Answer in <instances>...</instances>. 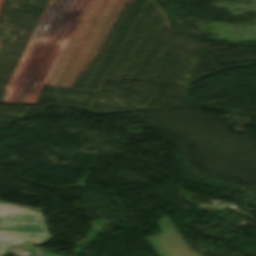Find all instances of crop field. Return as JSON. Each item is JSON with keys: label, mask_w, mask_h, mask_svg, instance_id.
<instances>
[{"label": "crop field", "mask_w": 256, "mask_h": 256, "mask_svg": "<svg viewBox=\"0 0 256 256\" xmlns=\"http://www.w3.org/2000/svg\"><path fill=\"white\" fill-rule=\"evenodd\" d=\"M148 240L150 241L159 256H176V254L169 246L165 238L162 236V234L148 237Z\"/></svg>", "instance_id": "3"}, {"label": "crop field", "mask_w": 256, "mask_h": 256, "mask_svg": "<svg viewBox=\"0 0 256 256\" xmlns=\"http://www.w3.org/2000/svg\"><path fill=\"white\" fill-rule=\"evenodd\" d=\"M51 238L42 213L23 207L0 204V256L6 255V247L33 241L43 244Z\"/></svg>", "instance_id": "1"}, {"label": "crop field", "mask_w": 256, "mask_h": 256, "mask_svg": "<svg viewBox=\"0 0 256 256\" xmlns=\"http://www.w3.org/2000/svg\"><path fill=\"white\" fill-rule=\"evenodd\" d=\"M177 256H201L200 253H193L178 231L166 217V215L156 224Z\"/></svg>", "instance_id": "2"}]
</instances>
